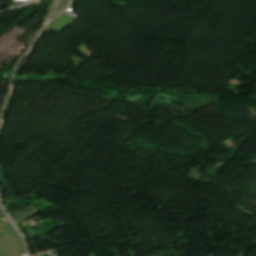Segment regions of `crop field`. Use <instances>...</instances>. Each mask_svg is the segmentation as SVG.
Here are the masks:
<instances>
[{"label": "crop field", "instance_id": "obj_1", "mask_svg": "<svg viewBox=\"0 0 256 256\" xmlns=\"http://www.w3.org/2000/svg\"><path fill=\"white\" fill-rule=\"evenodd\" d=\"M36 213H38V210L35 207L29 205V206H26L23 209L15 212L14 214H12L10 216L13 219L14 223H16V222H19V221H21L27 217H30Z\"/></svg>", "mask_w": 256, "mask_h": 256}, {"label": "crop field", "instance_id": "obj_3", "mask_svg": "<svg viewBox=\"0 0 256 256\" xmlns=\"http://www.w3.org/2000/svg\"><path fill=\"white\" fill-rule=\"evenodd\" d=\"M44 256H51V254L46 253Z\"/></svg>", "mask_w": 256, "mask_h": 256}, {"label": "crop field", "instance_id": "obj_2", "mask_svg": "<svg viewBox=\"0 0 256 256\" xmlns=\"http://www.w3.org/2000/svg\"><path fill=\"white\" fill-rule=\"evenodd\" d=\"M5 179H4V176H3V173H2V169H1V167H0V182L1 181H4Z\"/></svg>", "mask_w": 256, "mask_h": 256}]
</instances>
